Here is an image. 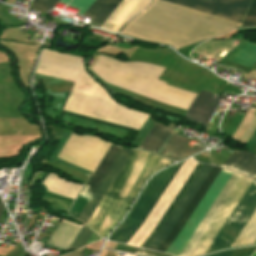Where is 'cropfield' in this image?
<instances>
[{
	"label": "crop field",
	"mask_w": 256,
	"mask_h": 256,
	"mask_svg": "<svg viewBox=\"0 0 256 256\" xmlns=\"http://www.w3.org/2000/svg\"><path fill=\"white\" fill-rule=\"evenodd\" d=\"M109 149V148H108ZM123 148L118 146L111 145L110 149L106 153L105 157L101 161L100 165L96 169L95 173L91 177L90 181L87 185H89V189L87 190V193L92 194L91 198L85 205L84 209L80 213L77 219L80 220L81 216L85 212L86 208L88 207L89 203L93 199L94 195L96 194L97 190L101 186L102 182L106 178L107 174L109 173L110 169L114 165L115 161L117 160L118 156L122 152Z\"/></svg>",
	"instance_id": "obj_9"
},
{
	"label": "crop field",
	"mask_w": 256,
	"mask_h": 256,
	"mask_svg": "<svg viewBox=\"0 0 256 256\" xmlns=\"http://www.w3.org/2000/svg\"><path fill=\"white\" fill-rule=\"evenodd\" d=\"M60 0H34L33 4L31 7H34L36 9L42 10V11H48L52 8L55 7V5L59 2ZM70 0H61L60 2L67 4Z\"/></svg>",
	"instance_id": "obj_18"
},
{
	"label": "crop field",
	"mask_w": 256,
	"mask_h": 256,
	"mask_svg": "<svg viewBox=\"0 0 256 256\" xmlns=\"http://www.w3.org/2000/svg\"><path fill=\"white\" fill-rule=\"evenodd\" d=\"M212 169V166H208L203 164L181 199L178 201L158 233L155 235V237L151 240V242L147 245V249L155 250L157 246L163 241V239L167 236L169 231L171 230L172 226L206 177V175L209 173V171Z\"/></svg>",
	"instance_id": "obj_6"
},
{
	"label": "crop field",
	"mask_w": 256,
	"mask_h": 256,
	"mask_svg": "<svg viewBox=\"0 0 256 256\" xmlns=\"http://www.w3.org/2000/svg\"><path fill=\"white\" fill-rule=\"evenodd\" d=\"M221 167L256 178V154L236 150Z\"/></svg>",
	"instance_id": "obj_12"
},
{
	"label": "crop field",
	"mask_w": 256,
	"mask_h": 256,
	"mask_svg": "<svg viewBox=\"0 0 256 256\" xmlns=\"http://www.w3.org/2000/svg\"><path fill=\"white\" fill-rule=\"evenodd\" d=\"M43 200H45L53 205H56L58 207L64 208L66 210H68V208L71 204V201H67V200H63V199H59V198H55V197H51V196H47V195H45Z\"/></svg>",
	"instance_id": "obj_21"
},
{
	"label": "crop field",
	"mask_w": 256,
	"mask_h": 256,
	"mask_svg": "<svg viewBox=\"0 0 256 256\" xmlns=\"http://www.w3.org/2000/svg\"><path fill=\"white\" fill-rule=\"evenodd\" d=\"M174 163L157 155L132 151L108 192L88 222L94 231L106 238L120 222L149 176Z\"/></svg>",
	"instance_id": "obj_3"
},
{
	"label": "crop field",
	"mask_w": 256,
	"mask_h": 256,
	"mask_svg": "<svg viewBox=\"0 0 256 256\" xmlns=\"http://www.w3.org/2000/svg\"><path fill=\"white\" fill-rule=\"evenodd\" d=\"M3 207H4V205H3V203H2V201H1V199H0V215H1V213H2Z\"/></svg>",
	"instance_id": "obj_23"
},
{
	"label": "crop field",
	"mask_w": 256,
	"mask_h": 256,
	"mask_svg": "<svg viewBox=\"0 0 256 256\" xmlns=\"http://www.w3.org/2000/svg\"><path fill=\"white\" fill-rule=\"evenodd\" d=\"M171 130L172 128L162 126L156 122L153 128L143 139L140 144V148L157 153Z\"/></svg>",
	"instance_id": "obj_14"
},
{
	"label": "crop field",
	"mask_w": 256,
	"mask_h": 256,
	"mask_svg": "<svg viewBox=\"0 0 256 256\" xmlns=\"http://www.w3.org/2000/svg\"><path fill=\"white\" fill-rule=\"evenodd\" d=\"M232 251H233V249L224 250V251L217 252V253H214V254H211V255H207V256H230Z\"/></svg>",
	"instance_id": "obj_22"
},
{
	"label": "crop field",
	"mask_w": 256,
	"mask_h": 256,
	"mask_svg": "<svg viewBox=\"0 0 256 256\" xmlns=\"http://www.w3.org/2000/svg\"><path fill=\"white\" fill-rule=\"evenodd\" d=\"M183 162L179 163V165L177 166V168L175 169V171L173 172V174L171 175V177L169 178V180L167 181V183L165 184V186L163 187V189L161 190V192L159 193V195L156 197V199L154 200V202L152 203V205L150 206V208L148 209V211L146 212V214L144 215V217L142 218V220L140 221V223L138 224V226L135 228V230L130 234V236L125 240L124 244L127 243V241L132 237V235L137 231V229L140 227V225L142 224V222L144 221V219L146 218V216L148 215V213L150 212V210L152 209V207L154 206V204L156 203V201L158 200V198L160 197V195L163 193V191L165 190V188L167 187V185L169 184V182L171 181V179L173 178V176L175 175V173L177 172V170L179 169V167L181 166ZM201 166L200 163H198V165L196 166V168L194 169V171L192 172V174L190 175V177L188 178V180L186 181V183L184 184V186L182 187V189L180 190V192L178 193V195L176 196V198L174 199V201L172 202V204L170 205V207L168 208V210L166 211V213L164 214V216L162 217V219L160 220V222L158 223V225L156 226V228L154 229V231L151 233V235L147 238V240L142 244V248H144V246L147 244V242L150 240V238L153 236V234L156 232V230L158 229V227L160 226V224L162 223V221L165 219V217L167 216V214L169 213V211L171 210V208L173 207V205L175 204V202L177 201V199L180 197V195L182 194V192L184 191V189L186 188V186L188 185V183L190 182V180L192 179V177L195 175V173L197 172V170L199 169V167Z\"/></svg>",
	"instance_id": "obj_16"
},
{
	"label": "crop field",
	"mask_w": 256,
	"mask_h": 256,
	"mask_svg": "<svg viewBox=\"0 0 256 256\" xmlns=\"http://www.w3.org/2000/svg\"><path fill=\"white\" fill-rule=\"evenodd\" d=\"M94 0H72L69 5L82 9L83 14ZM122 0H96L85 14L97 17L94 26L100 27ZM149 2L142 0H123L101 28L117 32L134 14L142 10ZM119 32V31H118Z\"/></svg>",
	"instance_id": "obj_4"
},
{
	"label": "crop field",
	"mask_w": 256,
	"mask_h": 256,
	"mask_svg": "<svg viewBox=\"0 0 256 256\" xmlns=\"http://www.w3.org/2000/svg\"><path fill=\"white\" fill-rule=\"evenodd\" d=\"M221 96L201 90L188 108L184 118L205 128Z\"/></svg>",
	"instance_id": "obj_8"
},
{
	"label": "crop field",
	"mask_w": 256,
	"mask_h": 256,
	"mask_svg": "<svg viewBox=\"0 0 256 256\" xmlns=\"http://www.w3.org/2000/svg\"><path fill=\"white\" fill-rule=\"evenodd\" d=\"M226 61L242 64L256 69V45L245 41Z\"/></svg>",
	"instance_id": "obj_15"
},
{
	"label": "crop field",
	"mask_w": 256,
	"mask_h": 256,
	"mask_svg": "<svg viewBox=\"0 0 256 256\" xmlns=\"http://www.w3.org/2000/svg\"><path fill=\"white\" fill-rule=\"evenodd\" d=\"M256 240V209L231 246L253 243Z\"/></svg>",
	"instance_id": "obj_17"
},
{
	"label": "crop field",
	"mask_w": 256,
	"mask_h": 256,
	"mask_svg": "<svg viewBox=\"0 0 256 256\" xmlns=\"http://www.w3.org/2000/svg\"><path fill=\"white\" fill-rule=\"evenodd\" d=\"M220 171L221 168L213 167V169L211 170V172L209 173V175L207 176V178L205 179V181L203 182V184L201 185L193 199L190 201V203L188 204V206L186 207V209L184 210V212L182 213V215L180 216V218L178 219V221L176 222L168 236L158 246V248L156 249L157 251L164 252L166 248L171 244V242L175 239V237L177 236V234L179 233V231L181 230V228L183 227L191 213L194 211V209L196 208V206L198 205L206 191L209 189V187L211 186V184L213 183V181L215 180Z\"/></svg>",
	"instance_id": "obj_7"
},
{
	"label": "crop field",
	"mask_w": 256,
	"mask_h": 256,
	"mask_svg": "<svg viewBox=\"0 0 256 256\" xmlns=\"http://www.w3.org/2000/svg\"><path fill=\"white\" fill-rule=\"evenodd\" d=\"M178 164L160 172L151 182L145 193L142 195L138 203L135 205L130 215L110 240L123 243L124 240L137 226L157 194L160 192L174 169Z\"/></svg>",
	"instance_id": "obj_5"
},
{
	"label": "crop field",
	"mask_w": 256,
	"mask_h": 256,
	"mask_svg": "<svg viewBox=\"0 0 256 256\" xmlns=\"http://www.w3.org/2000/svg\"><path fill=\"white\" fill-rule=\"evenodd\" d=\"M256 26V0H253L251 9L242 25V27Z\"/></svg>",
	"instance_id": "obj_20"
},
{
	"label": "crop field",
	"mask_w": 256,
	"mask_h": 256,
	"mask_svg": "<svg viewBox=\"0 0 256 256\" xmlns=\"http://www.w3.org/2000/svg\"><path fill=\"white\" fill-rule=\"evenodd\" d=\"M223 171H227L224 170ZM221 171L217 179L214 181L206 195L203 197L195 211L192 213L176 239L172 242V244L165 251L166 253L174 254L175 256H179L230 178L231 180L183 250L180 256H189L195 245L198 243L214 217L217 215L233 189L236 187L242 175L237 173L227 171L230 173H226ZM253 179L243 176L235 190L232 192L216 218L213 220L197 246L194 248L190 256H199L205 253L208 249L230 214L233 212L251 183ZM256 207V180L252 183L232 215L229 217L209 249L213 248H223L229 247L237 233L240 231L254 208Z\"/></svg>",
	"instance_id": "obj_2"
},
{
	"label": "crop field",
	"mask_w": 256,
	"mask_h": 256,
	"mask_svg": "<svg viewBox=\"0 0 256 256\" xmlns=\"http://www.w3.org/2000/svg\"><path fill=\"white\" fill-rule=\"evenodd\" d=\"M80 229L81 226L63 219L56 231L49 238L47 245L68 250Z\"/></svg>",
	"instance_id": "obj_13"
},
{
	"label": "crop field",
	"mask_w": 256,
	"mask_h": 256,
	"mask_svg": "<svg viewBox=\"0 0 256 256\" xmlns=\"http://www.w3.org/2000/svg\"><path fill=\"white\" fill-rule=\"evenodd\" d=\"M131 150H128L126 148H124L123 152L121 153V155L119 156L118 160L116 161L115 165L113 166V168L111 169L110 173L108 174L107 178L105 179V181L103 182L102 186L100 187L99 191L97 192V194L95 195L94 199L92 200L91 204L89 205V207L87 208L86 212L84 213V215L81 218V221L87 223L88 220L90 219V217L92 216L93 212L95 211V209L97 208L98 204L100 203V201L102 200L103 196L105 195V193L107 192L108 188L110 187L111 183L113 182V180L115 179L116 175L118 174V172L120 171L121 167L123 166V164L125 163L126 159L128 158V156L130 155Z\"/></svg>",
	"instance_id": "obj_11"
},
{
	"label": "crop field",
	"mask_w": 256,
	"mask_h": 256,
	"mask_svg": "<svg viewBox=\"0 0 256 256\" xmlns=\"http://www.w3.org/2000/svg\"><path fill=\"white\" fill-rule=\"evenodd\" d=\"M153 2L241 26L252 0H153ZM153 2L132 18L121 29L120 34L147 42L168 44L178 50L239 27Z\"/></svg>",
	"instance_id": "obj_1"
},
{
	"label": "crop field",
	"mask_w": 256,
	"mask_h": 256,
	"mask_svg": "<svg viewBox=\"0 0 256 256\" xmlns=\"http://www.w3.org/2000/svg\"><path fill=\"white\" fill-rule=\"evenodd\" d=\"M250 256H256V248L253 250Z\"/></svg>",
	"instance_id": "obj_24"
},
{
	"label": "crop field",
	"mask_w": 256,
	"mask_h": 256,
	"mask_svg": "<svg viewBox=\"0 0 256 256\" xmlns=\"http://www.w3.org/2000/svg\"><path fill=\"white\" fill-rule=\"evenodd\" d=\"M89 231L90 230L84 226L69 250H77L78 248L83 247L86 244L90 234L92 233Z\"/></svg>",
	"instance_id": "obj_19"
},
{
	"label": "crop field",
	"mask_w": 256,
	"mask_h": 256,
	"mask_svg": "<svg viewBox=\"0 0 256 256\" xmlns=\"http://www.w3.org/2000/svg\"><path fill=\"white\" fill-rule=\"evenodd\" d=\"M189 141L186 136L170 133L158 154L180 160L204 149L198 145L192 149L186 147Z\"/></svg>",
	"instance_id": "obj_10"
}]
</instances>
